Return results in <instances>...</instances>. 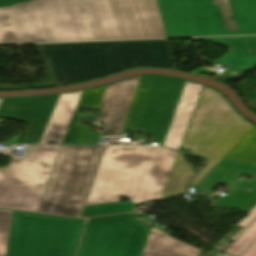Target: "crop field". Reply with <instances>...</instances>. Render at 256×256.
Masks as SVG:
<instances>
[{
	"label": "crop field",
	"mask_w": 256,
	"mask_h": 256,
	"mask_svg": "<svg viewBox=\"0 0 256 256\" xmlns=\"http://www.w3.org/2000/svg\"><path fill=\"white\" fill-rule=\"evenodd\" d=\"M165 37L155 0H37L0 9V44Z\"/></svg>",
	"instance_id": "crop-field-1"
},
{
	"label": "crop field",
	"mask_w": 256,
	"mask_h": 256,
	"mask_svg": "<svg viewBox=\"0 0 256 256\" xmlns=\"http://www.w3.org/2000/svg\"><path fill=\"white\" fill-rule=\"evenodd\" d=\"M177 154L156 146H106L85 205L121 196L135 204L161 198Z\"/></svg>",
	"instance_id": "crop-field-2"
},
{
	"label": "crop field",
	"mask_w": 256,
	"mask_h": 256,
	"mask_svg": "<svg viewBox=\"0 0 256 256\" xmlns=\"http://www.w3.org/2000/svg\"><path fill=\"white\" fill-rule=\"evenodd\" d=\"M58 85L101 77L140 65L171 66L165 40L38 45Z\"/></svg>",
	"instance_id": "crop-field-3"
},
{
	"label": "crop field",
	"mask_w": 256,
	"mask_h": 256,
	"mask_svg": "<svg viewBox=\"0 0 256 256\" xmlns=\"http://www.w3.org/2000/svg\"><path fill=\"white\" fill-rule=\"evenodd\" d=\"M166 37L256 33V0H156Z\"/></svg>",
	"instance_id": "crop-field-4"
},
{
	"label": "crop field",
	"mask_w": 256,
	"mask_h": 256,
	"mask_svg": "<svg viewBox=\"0 0 256 256\" xmlns=\"http://www.w3.org/2000/svg\"><path fill=\"white\" fill-rule=\"evenodd\" d=\"M254 126L243 119L223 95L204 86L182 149H192L193 154L209 160L191 186H197Z\"/></svg>",
	"instance_id": "crop-field-5"
},
{
	"label": "crop field",
	"mask_w": 256,
	"mask_h": 256,
	"mask_svg": "<svg viewBox=\"0 0 256 256\" xmlns=\"http://www.w3.org/2000/svg\"><path fill=\"white\" fill-rule=\"evenodd\" d=\"M103 146H62L39 212L78 217Z\"/></svg>",
	"instance_id": "crop-field-6"
},
{
	"label": "crop field",
	"mask_w": 256,
	"mask_h": 256,
	"mask_svg": "<svg viewBox=\"0 0 256 256\" xmlns=\"http://www.w3.org/2000/svg\"><path fill=\"white\" fill-rule=\"evenodd\" d=\"M84 221L15 212L8 256H75Z\"/></svg>",
	"instance_id": "crop-field-7"
},
{
	"label": "crop field",
	"mask_w": 256,
	"mask_h": 256,
	"mask_svg": "<svg viewBox=\"0 0 256 256\" xmlns=\"http://www.w3.org/2000/svg\"><path fill=\"white\" fill-rule=\"evenodd\" d=\"M61 146H30L26 159L0 168V208L38 212Z\"/></svg>",
	"instance_id": "crop-field-8"
},
{
	"label": "crop field",
	"mask_w": 256,
	"mask_h": 256,
	"mask_svg": "<svg viewBox=\"0 0 256 256\" xmlns=\"http://www.w3.org/2000/svg\"><path fill=\"white\" fill-rule=\"evenodd\" d=\"M184 79L144 75L124 126L145 129L153 145H162L172 121Z\"/></svg>",
	"instance_id": "crop-field-9"
},
{
	"label": "crop field",
	"mask_w": 256,
	"mask_h": 256,
	"mask_svg": "<svg viewBox=\"0 0 256 256\" xmlns=\"http://www.w3.org/2000/svg\"><path fill=\"white\" fill-rule=\"evenodd\" d=\"M242 172L252 181L238 180L231 191L212 206L250 212L256 205V126L198 184L202 195L218 183L230 186Z\"/></svg>",
	"instance_id": "crop-field-10"
},
{
	"label": "crop field",
	"mask_w": 256,
	"mask_h": 256,
	"mask_svg": "<svg viewBox=\"0 0 256 256\" xmlns=\"http://www.w3.org/2000/svg\"><path fill=\"white\" fill-rule=\"evenodd\" d=\"M151 229L131 213L87 219L76 256H141Z\"/></svg>",
	"instance_id": "crop-field-11"
},
{
	"label": "crop field",
	"mask_w": 256,
	"mask_h": 256,
	"mask_svg": "<svg viewBox=\"0 0 256 256\" xmlns=\"http://www.w3.org/2000/svg\"><path fill=\"white\" fill-rule=\"evenodd\" d=\"M140 77L84 90L75 112L78 111L79 106L99 108L106 126L115 136H119L136 93Z\"/></svg>",
	"instance_id": "crop-field-12"
},
{
	"label": "crop field",
	"mask_w": 256,
	"mask_h": 256,
	"mask_svg": "<svg viewBox=\"0 0 256 256\" xmlns=\"http://www.w3.org/2000/svg\"><path fill=\"white\" fill-rule=\"evenodd\" d=\"M59 95L4 98L0 117L29 123L20 144H39Z\"/></svg>",
	"instance_id": "crop-field-13"
},
{
	"label": "crop field",
	"mask_w": 256,
	"mask_h": 256,
	"mask_svg": "<svg viewBox=\"0 0 256 256\" xmlns=\"http://www.w3.org/2000/svg\"><path fill=\"white\" fill-rule=\"evenodd\" d=\"M202 84L186 81L173 121L164 141L165 146L180 150L188 129L195 105L202 90Z\"/></svg>",
	"instance_id": "crop-field-14"
},
{
	"label": "crop field",
	"mask_w": 256,
	"mask_h": 256,
	"mask_svg": "<svg viewBox=\"0 0 256 256\" xmlns=\"http://www.w3.org/2000/svg\"><path fill=\"white\" fill-rule=\"evenodd\" d=\"M231 50L217 64L240 71L256 63V36L197 38Z\"/></svg>",
	"instance_id": "crop-field-15"
},
{
	"label": "crop field",
	"mask_w": 256,
	"mask_h": 256,
	"mask_svg": "<svg viewBox=\"0 0 256 256\" xmlns=\"http://www.w3.org/2000/svg\"><path fill=\"white\" fill-rule=\"evenodd\" d=\"M82 91L61 94L40 144H46V141L62 143Z\"/></svg>",
	"instance_id": "crop-field-16"
},
{
	"label": "crop field",
	"mask_w": 256,
	"mask_h": 256,
	"mask_svg": "<svg viewBox=\"0 0 256 256\" xmlns=\"http://www.w3.org/2000/svg\"><path fill=\"white\" fill-rule=\"evenodd\" d=\"M198 250L152 229L143 256H197Z\"/></svg>",
	"instance_id": "crop-field-17"
},
{
	"label": "crop field",
	"mask_w": 256,
	"mask_h": 256,
	"mask_svg": "<svg viewBox=\"0 0 256 256\" xmlns=\"http://www.w3.org/2000/svg\"><path fill=\"white\" fill-rule=\"evenodd\" d=\"M194 175L191 165L185 163L181 153H179L163 198L173 194L185 193L189 180Z\"/></svg>",
	"instance_id": "crop-field-18"
},
{
	"label": "crop field",
	"mask_w": 256,
	"mask_h": 256,
	"mask_svg": "<svg viewBox=\"0 0 256 256\" xmlns=\"http://www.w3.org/2000/svg\"><path fill=\"white\" fill-rule=\"evenodd\" d=\"M136 205L131 201L89 205L84 207L82 217L132 211Z\"/></svg>",
	"instance_id": "crop-field-19"
},
{
	"label": "crop field",
	"mask_w": 256,
	"mask_h": 256,
	"mask_svg": "<svg viewBox=\"0 0 256 256\" xmlns=\"http://www.w3.org/2000/svg\"><path fill=\"white\" fill-rule=\"evenodd\" d=\"M255 240H256V220L233 243V245L227 250V252L240 256Z\"/></svg>",
	"instance_id": "crop-field-20"
},
{
	"label": "crop field",
	"mask_w": 256,
	"mask_h": 256,
	"mask_svg": "<svg viewBox=\"0 0 256 256\" xmlns=\"http://www.w3.org/2000/svg\"><path fill=\"white\" fill-rule=\"evenodd\" d=\"M12 212L0 210V256H5Z\"/></svg>",
	"instance_id": "crop-field-21"
},
{
	"label": "crop field",
	"mask_w": 256,
	"mask_h": 256,
	"mask_svg": "<svg viewBox=\"0 0 256 256\" xmlns=\"http://www.w3.org/2000/svg\"><path fill=\"white\" fill-rule=\"evenodd\" d=\"M255 218H256V207L248 214L246 218H244L239 223V225L243 228L237 233V235L232 240H234Z\"/></svg>",
	"instance_id": "crop-field-22"
},
{
	"label": "crop field",
	"mask_w": 256,
	"mask_h": 256,
	"mask_svg": "<svg viewBox=\"0 0 256 256\" xmlns=\"http://www.w3.org/2000/svg\"><path fill=\"white\" fill-rule=\"evenodd\" d=\"M27 1H31V0H0V7L6 6V5L22 3V2H27Z\"/></svg>",
	"instance_id": "crop-field-23"
},
{
	"label": "crop field",
	"mask_w": 256,
	"mask_h": 256,
	"mask_svg": "<svg viewBox=\"0 0 256 256\" xmlns=\"http://www.w3.org/2000/svg\"><path fill=\"white\" fill-rule=\"evenodd\" d=\"M243 256H256V242L249 248Z\"/></svg>",
	"instance_id": "crop-field-24"
},
{
	"label": "crop field",
	"mask_w": 256,
	"mask_h": 256,
	"mask_svg": "<svg viewBox=\"0 0 256 256\" xmlns=\"http://www.w3.org/2000/svg\"><path fill=\"white\" fill-rule=\"evenodd\" d=\"M227 70H228V69H227ZM225 71H226V70H225ZM238 73H239V72L232 71V70H228V71L222 73V75H223L224 77H233V76L237 75Z\"/></svg>",
	"instance_id": "crop-field-25"
},
{
	"label": "crop field",
	"mask_w": 256,
	"mask_h": 256,
	"mask_svg": "<svg viewBox=\"0 0 256 256\" xmlns=\"http://www.w3.org/2000/svg\"><path fill=\"white\" fill-rule=\"evenodd\" d=\"M222 256H230V255H228V254H223Z\"/></svg>",
	"instance_id": "crop-field-26"
},
{
	"label": "crop field",
	"mask_w": 256,
	"mask_h": 256,
	"mask_svg": "<svg viewBox=\"0 0 256 256\" xmlns=\"http://www.w3.org/2000/svg\"><path fill=\"white\" fill-rule=\"evenodd\" d=\"M2 100H3V98H0V104H1Z\"/></svg>",
	"instance_id": "crop-field-27"
}]
</instances>
